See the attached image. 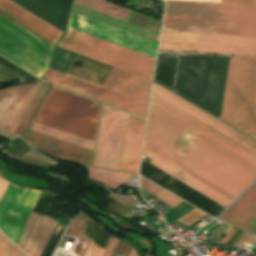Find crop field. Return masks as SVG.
<instances>
[{"mask_svg": "<svg viewBox=\"0 0 256 256\" xmlns=\"http://www.w3.org/2000/svg\"><path fill=\"white\" fill-rule=\"evenodd\" d=\"M228 60L159 53L155 80L219 117ZM220 119L256 139V59L230 57Z\"/></svg>", "mask_w": 256, "mask_h": 256, "instance_id": "crop-field-1", "label": "crop field"}, {"mask_svg": "<svg viewBox=\"0 0 256 256\" xmlns=\"http://www.w3.org/2000/svg\"><path fill=\"white\" fill-rule=\"evenodd\" d=\"M143 154L150 164L228 207L256 174L150 112Z\"/></svg>", "mask_w": 256, "mask_h": 256, "instance_id": "crop-field-2", "label": "crop field"}, {"mask_svg": "<svg viewBox=\"0 0 256 256\" xmlns=\"http://www.w3.org/2000/svg\"><path fill=\"white\" fill-rule=\"evenodd\" d=\"M100 104L53 87L31 131L93 150ZM29 131L25 141L64 160L91 164L92 150Z\"/></svg>", "mask_w": 256, "mask_h": 256, "instance_id": "crop-field-3", "label": "crop field"}, {"mask_svg": "<svg viewBox=\"0 0 256 256\" xmlns=\"http://www.w3.org/2000/svg\"><path fill=\"white\" fill-rule=\"evenodd\" d=\"M150 111L256 173V142L156 83Z\"/></svg>", "mask_w": 256, "mask_h": 256, "instance_id": "crop-field-4", "label": "crop field"}, {"mask_svg": "<svg viewBox=\"0 0 256 256\" xmlns=\"http://www.w3.org/2000/svg\"><path fill=\"white\" fill-rule=\"evenodd\" d=\"M78 56V54L56 47L53 54L51 68L67 73L70 66ZM52 69H50L48 74L45 76V80L60 87L146 118L149 106L148 103L150 100L151 80L113 67L107 75L103 85L110 89L148 102L145 103L108 88L70 75H65Z\"/></svg>", "mask_w": 256, "mask_h": 256, "instance_id": "crop-field-5", "label": "crop field"}, {"mask_svg": "<svg viewBox=\"0 0 256 256\" xmlns=\"http://www.w3.org/2000/svg\"><path fill=\"white\" fill-rule=\"evenodd\" d=\"M162 31L256 37V6L167 1Z\"/></svg>", "mask_w": 256, "mask_h": 256, "instance_id": "crop-field-6", "label": "crop field"}, {"mask_svg": "<svg viewBox=\"0 0 256 256\" xmlns=\"http://www.w3.org/2000/svg\"><path fill=\"white\" fill-rule=\"evenodd\" d=\"M40 192L9 183L0 201V230L16 244ZM50 217L31 213L16 244L29 256H40L55 225Z\"/></svg>", "mask_w": 256, "mask_h": 256, "instance_id": "crop-field-7", "label": "crop field"}, {"mask_svg": "<svg viewBox=\"0 0 256 256\" xmlns=\"http://www.w3.org/2000/svg\"><path fill=\"white\" fill-rule=\"evenodd\" d=\"M58 47L152 80L155 59L83 32L67 29Z\"/></svg>", "mask_w": 256, "mask_h": 256, "instance_id": "crop-field-8", "label": "crop field"}, {"mask_svg": "<svg viewBox=\"0 0 256 256\" xmlns=\"http://www.w3.org/2000/svg\"><path fill=\"white\" fill-rule=\"evenodd\" d=\"M60 31H64L72 0H10ZM8 0H0V12L54 44L62 32Z\"/></svg>", "mask_w": 256, "mask_h": 256, "instance_id": "crop-field-9", "label": "crop field"}, {"mask_svg": "<svg viewBox=\"0 0 256 256\" xmlns=\"http://www.w3.org/2000/svg\"><path fill=\"white\" fill-rule=\"evenodd\" d=\"M53 46L0 15V55L40 77Z\"/></svg>", "mask_w": 256, "mask_h": 256, "instance_id": "crop-field-10", "label": "crop field"}, {"mask_svg": "<svg viewBox=\"0 0 256 256\" xmlns=\"http://www.w3.org/2000/svg\"><path fill=\"white\" fill-rule=\"evenodd\" d=\"M159 50L256 56V38L162 32Z\"/></svg>", "mask_w": 256, "mask_h": 256, "instance_id": "crop-field-11", "label": "crop field"}, {"mask_svg": "<svg viewBox=\"0 0 256 256\" xmlns=\"http://www.w3.org/2000/svg\"><path fill=\"white\" fill-rule=\"evenodd\" d=\"M128 117L102 105L93 165L120 170Z\"/></svg>", "mask_w": 256, "mask_h": 256, "instance_id": "crop-field-12", "label": "crop field"}, {"mask_svg": "<svg viewBox=\"0 0 256 256\" xmlns=\"http://www.w3.org/2000/svg\"><path fill=\"white\" fill-rule=\"evenodd\" d=\"M69 27L108 40L110 42L138 51L154 58L156 56L158 46L157 43L123 32L121 30L109 27L107 25L95 22L93 20L81 17L73 13L70 18Z\"/></svg>", "mask_w": 256, "mask_h": 256, "instance_id": "crop-field-13", "label": "crop field"}, {"mask_svg": "<svg viewBox=\"0 0 256 256\" xmlns=\"http://www.w3.org/2000/svg\"><path fill=\"white\" fill-rule=\"evenodd\" d=\"M40 83L0 90V130L13 133Z\"/></svg>", "mask_w": 256, "mask_h": 256, "instance_id": "crop-field-14", "label": "crop field"}, {"mask_svg": "<svg viewBox=\"0 0 256 256\" xmlns=\"http://www.w3.org/2000/svg\"><path fill=\"white\" fill-rule=\"evenodd\" d=\"M146 120L130 114L121 170L138 173Z\"/></svg>", "mask_w": 256, "mask_h": 256, "instance_id": "crop-field-15", "label": "crop field"}, {"mask_svg": "<svg viewBox=\"0 0 256 256\" xmlns=\"http://www.w3.org/2000/svg\"><path fill=\"white\" fill-rule=\"evenodd\" d=\"M219 219L256 234V203L241 197Z\"/></svg>", "mask_w": 256, "mask_h": 256, "instance_id": "crop-field-16", "label": "crop field"}, {"mask_svg": "<svg viewBox=\"0 0 256 256\" xmlns=\"http://www.w3.org/2000/svg\"><path fill=\"white\" fill-rule=\"evenodd\" d=\"M50 88L51 87L49 85L45 83H41L34 98L32 99L30 105L28 106L26 112L24 113L22 119L20 120L18 126L16 127L14 134L19 135L23 138L25 132L27 131L33 118L35 117L38 109L40 108Z\"/></svg>", "mask_w": 256, "mask_h": 256, "instance_id": "crop-field-17", "label": "crop field"}, {"mask_svg": "<svg viewBox=\"0 0 256 256\" xmlns=\"http://www.w3.org/2000/svg\"><path fill=\"white\" fill-rule=\"evenodd\" d=\"M85 167L88 169L89 177L113 189H115L121 183L127 184L130 178L133 176L131 173L94 168L86 165Z\"/></svg>", "mask_w": 256, "mask_h": 256, "instance_id": "crop-field-18", "label": "crop field"}, {"mask_svg": "<svg viewBox=\"0 0 256 256\" xmlns=\"http://www.w3.org/2000/svg\"><path fill=\"white\" fill-rule=\"evenodd\" d=\"M74 3L123 21L130 13V10L102 0H75Z\"/></svg>", "mask_w": 256, "mask_h": 256, "instance_id": "crop-field-19", "label": "crop field"}, {"mask_svg": "<svg viewBox=\"0 0 256 256\" xmlns=\"http://www.w3.org/2000/svg\"><path fill=\"white\" fill-rule=\"evenodd\" d=\"M89 217L81 213L69 224L65 234L79 238L88 239L82 232L89 221ZM89 240V239H88ZM104 250L90 242L84 256H101Z\"/></svg>", "mask_w": 256, "mask_h": 256, "instance_id": "crop-field-20", "label": "crop field"}, {"mask_svg": "<svg viewBox=\"0 0 256 256\" xmlns=\"http://www.w3.org/2000/svg\"><path fill=\"white\" fill-rule=\"evenodd\" d=\"M140 184L142 189L155 195L156 197H158L160 200H162L172 208L175 207L177 204H179L181 201H183L141 176H140Z\"/></svg>", "mask_w": 256, "mask_h": 256, "instance_id": "crop-field-21", "label": "crop field"}, {"mask_svg": "<svg viewBox=\"0 0 256 256\" xmlns=\"http://www.w3.org/2000/svg\"><path fill=\"white\" fill-rule=\"evenodd\" d=\"M0 256H26L0 233Z\"/></svg>", "mask_w": 256, "mask_h": 256, "instance_id": "crop-field-22", "label": "crop field"}, {"mask_svg": "<svg viewBox=\"0 0 256 256\" xmlns=\"http://www.w3.org/2000/svg\"><path fill=\"white\" fill-rule=\"evenodd\" d=\"M8 145H10L11 147L5 149V151H7L8 153H10L18 158L20 156H22L24 153L33 149L27 143H25L18 137L15 138L13 141H11Z\"/></svg>", "mask_w": 256, "mask_h": 256, "instance_id": "crop-field-23", "label": "crop field"}, {"mask_svg": "<svg viewBox=\"0 0 256 256\" xmlns=\"http://www.w3.org/2000/svg\"><path fill=\"white\" fill-rule=\"evenodd\" d=\"M204 215H206V214H204L194 208L177 221L189 226L192 223H194L195 221H197L198 219H200L201 217H203Z\"/></svg>", "mask_w": 256, "mask_h": 256, "instance_id": "crop-field-24", "label": "crop field"}, {"mask_svg": "<svg viewBox=\"0 0 256 256\" xmlns=\"http://www.w3.org/2000/svg\"><path fill=\"white\" fill-rule=\"evenodd\" d=\"M176 1H194V2L220 3V0H176ZM221 3L256 5V0H222Z\"/></svg>", "mask_w": 256, "mask_h": 256, "instance_id": "crop-field-25", "label": "crop field"}, {"mask_svg": "<svg viewBox=\"0 0 256 256\" xmlns=\"http://www.w3.org/2000/svg\"><path fill=\"white\" fill-rule=\"evenodd\" d=\"M132 247L128 246L122 241H118L111 256H128Z\"/></svg>", "mask_w": 256, "mask_h": 256, "instance_id": "crop-field-26", "label": "crop field"}, {"mask_svg": "<svg viewBox=\"0 0 256 256\" xmlns=\"http://www.w3.org/2000/svg\"><path fill=\"white\" fill-rule=\"evenodd\" d=\"M116 242H117V239L111 237V239H110V241H109V243H108V245H107V247H106L102 256H110Z\"/></svg>", "mask_w": 256, "mask_h": 256, "instance_id": "crop-field-27", "label": "crop field"}, {"mask_svg": "<svg viewBox=\"0 0 256 256\" xmlns=\"http://www.w3.org/2000/svg\"><path fill=\"white\" fill-rule=\"evenodd\" d=\"M243 197L256 202V184Z\"/></svg>", "mask_w": 256, "mask_h": 256, "instance_id": "crop-field-28", "label": "crop field"}, {"mask_svg": "<svg viewBox=\"0 0 256 256\" xmlns=\"http://www.w3.org/2000/svg\"><path fill=\"white\" fill-rule=\"evenodd\" d=\"M108 197H110V198H112V199H114V200H116V201H118V202H120V203H122L124 205H127V206H129L132 203V201L127 200L125 198H122L120 196H117V195H115L113 193H111Z\"/></svg>", "mask_w": 256, "mask_h": 256, "instance_id": "crop-field-29", "label": "crop field"}, {"mask_svg": "<svg viewBox=\"0 0 256 256\" xmlns=\"http://www.w3.org/2000/svg\"><path fill=\"white\" fill-rule=\"evenodd\" d=\"M237 231V229L232 228L227 234L226 236L219 242V244L224 245L227 240Z\"/></svg>", "mask_w": 256, "mask_h": 256, "instance_id": "crop-field-30", "label": "crop field"}, {"mask_svg": "<svg viewBox=\"0 0 256 256\" xmlns=\"http://www.w3.org/2000/svg\"><path fill=\"white\" fill-rule=\"evenodd\" d=\"M8 183H9V182H7V181H5V180H3V179L0 178V199H1V197H2V195H3V193H4V191H5V189H6L7 185H8Z\"/></svg>", "mask_w": 256, "mask_h": 256, "instance_id": "crop-field-31", "label": "crop field"}, {"mask_svg": "<svg viewBox=\"0 0 256 256\" xmlns=\"http://www.w3.org/2000/svg\"><path fill=\"white\" fill-rule=\"evenodd\" d=\"M215 223H217V221H214L213 223L209 224L208 226L204 227L199 233H203L205 232L207 229H209L211 226H213Z\"/></svg>", "mask_w": 256, "mask_h": 256, "instance_id": "crop-field-32", "label": "crop field"}, {"mask_svg": "<svg viewBox=\"0 0 256 256\" xmlns=\"http://www.w3.org/2000/svg\"><path fill=\"white\" fill-rule=\"evenodd\" d=\"M2 67V65H0V68Z\"/></svg>", "mask_w": 256, "mask_h": 256, "instance_id": "crop-field-33", "label": "crop field"}, {"mask_svg": "<svg viewBox=\"0 0 256 256\" xmlns=\"http://www.w3.org/2000/svg\"><path fill=\"white\" fill-rule=\"evenodd\" d=\"M162 1H164V0H162Z\"/></svg>", "mask_w": 256, "mask_h": 256, "instance_id": "crop-field-34", "label": "crop field"}, {"mask_svg": "<svg viewBox=\"0 0 256 256\" xmlns=\"http://www.w3.org/2000/svg\"><path fill=\"white\" fill-rule=\"evenodd\" d=\"M54 256H56V255H54Z\"/></svg>", "mask_w": 256, "mask_h": 256, "instance_id": "crop-field-35", "label": "crop field"}]
</instances>
